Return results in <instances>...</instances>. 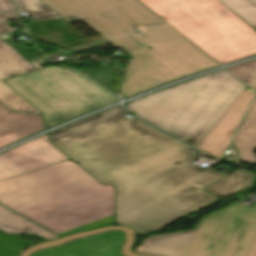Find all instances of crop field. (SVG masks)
<instances>
[{"instance_id": "8a807250", "label": "crop field", "mask_w": 256, "mask_h": 256, "mask_svg": "<svg viewBox=\"0 0 256 256\" xmlns=\"http://www.w3.org/2000/svg\"><path fill=\"white\" fill-rule=\"evenodd\" d=\"M121 106L53 132L51 141L103 184L116 185L117 224L159 230L215 201L203 190L227 176L193 164L189 147Z\"/></svg>"}, {"instance_id": "ac0d7876", "label": "crop field", "mask_w": 256, "mask_h": 256, "mask_svg": "<svg viewBox=\"0 0 256 256\" xmlns=\"http://www.w3.org/2000/svg\"><path fill=\"white\" fill-rule=\"evenodd\" d=\"M68 22L83 20L131 55L123 99L218 64L137 0H41ZM137 28L142 35H135Z\"/></svg>"}, {"instance_id": "34b2d1b8", "label": "crop field", "mask_w": 256, "mask_h": 256, "mask_svg": "<svg viewBox=\"0 0 256 256\" xmlns=\"http://www.w3.org/2000/svg\"><path fill=\"white\" fill-rule=\"evenodd\" d=\"M0 203L63 236L114 223V186L66 162L0 183Z\"/></svg>"}, {"instance_id": "412701ff", "label": "crop field", "mask_w": 256, "mask_h": 256, "mask_svg": "<svg viewBox=\"0 0 256 256\" xmlns=\"http://www.w3.org/2000/svg\"><path fill=\"white\" fill-rule=\"evenodd\" d=\"M246 87L223 70L137 99L127 108L196 147Z\"/></svg>"}, {"instance_id": "f4fd0767", "label": "crop field", "mask_w": 256, "mask_h": 256, "mask_svg": "<svg viewBox=\"0 0 256 256\" xmlns=\"http://www.w3.org/2000/svg\"><path fill=\"white\" fill-rule=\"evenodd\" d=\"M222 65L256 55V30L218 0H141Z\"/></svg>"}, {"instance_id": "dd49c442", "label": "crop field", "mask_w": 256, "mask_h": 256, "mask_svg": "<svg viewBox=\"0 0 256 256\" xmlns=\"http://www.w3.org/2000/svg\"><path fill=\"white\" fill-rule=\"evenodd\" d=\"M3 82L44 113L46 128L119 101L81 73L63 67H48Z\"/></svg>"}, {"instance_id": "e52e79f7", "label": "crop field", "mask_w": 256, "mask_h": 256, "mask_svg": "<svg viewBox=\"0 0 256 256\" xmlns=\"http://www.w3.org/2000/svg\"><path fill=\"white\" fill-rule=\"evenodd\" d=\"M184 256H256V203L235 204L205 218Z\"/></svg>"}, {"instance_id": "d8731c3e", "label": "crop field", "mask_w": 256, "mask_h": 256, "mask_svg": "<svg viewBox=\"0 0 256 256\" xmlns=\"http://www.w3.org/2000/svg\"><path fill=\"white\" fill-rule=\"evenodd\" d=\"M50 143L45 135L0 154V181L69 160Z\"/></svg>"}, {"instance_id": "5a996713", "label": "crop field", "mask_w": 256, "mask_h": 256, "mask_svg": "<svg viewBox=\"0 0 256 256\" xmlns=\"http://www.w3.org/2000/svg\"><path fill=\"white\" fill-rule=\"evenodd\" d=\"M32 71H36V68L0 39V102L12 111L43 114L2 82L5 78Z\"/></svg>"}, {"instance_id": "3316defc", "label": "crop field", "mask_w": 256, "mask_h": 256, "mask_svg": "<svg viewBox=\"0 0 256 256\" xmlns=\"http://www.w3.org/2000/svg\"><path fill=\"white\" fill-rule=\"evenodd\" d=\"M253 95L254 92L244 90L196 148L214 157L221 158L224 156L222 153L229 145V139L231 137L227 133L232 128H237Z\"/></svg>"}, {"instance_id": "28ad6ade", "label": "crop field", "mask_w": 256, "mask_h": 256, "mask_svg": "<svg viewBox=\"0 0 256 256\" xmlns=\"http://www.w3.org/2000/svg\"><path fill=\"white\" fill-rule=\"evenodd\" d=\"M251 87L256 88V60L229 68ZM233 144L240 154V160L256 162V98L252 102L248 114L238 130ZM256 164V163H255Z\"/></svg>"}, {"instance_id": "d1516ede", "label": "crop field", "mask_w": 256, "mask_h": 256, "mask_svg": "<svg viewBox=\"0 0 256 256\" xmlns=\"http://www.w3.org/2000/svg\"><path fill=\"white\" fill-rule=\"evenodd\" d=\"M43 129L41 115L12 112L0 103V148Z\"/></svg>"}, {"instance_id": "22f410ed", "label": "crop field", "mask_w": 256, "mask_h": 256, "mask_svg": "<svg viewBox=\"0 0 256 256\" xmlns=\"http://www.w3.org/2000/svg\"><path fill=\"white\" fill-rule=\"evenodd\" d=\"M193 230L194 228L184 232L146 238L134 251L147 255L183 256Z\"/></svg>"}, {"instance_id": "cbeb9de0", "label": "crop field", "mask_w": 256, "mask_h": 256, "mask_svg": "<svg viewBox=\"0 0 256 256\" xmlns=\"http://www.w3.org/2000/svg\"><path fill=\"white\" fill-rule=\"evenodd\" d=\"M119 238L118 234H109L39 256H116L114 250Z\"/></svg>"}, {"instance_id": "5142ce71", "label": "crop field", "mask_w": 256, "mask_h": 256, "mask_svg": "<svg viewBox=\"0 0 256 256\" xmlns=\"http://www.w3.org/2000/svg\"><path fill=\"white\" fill-rule=\"evenodd\" d=\"M255 181L256 175H254V172L240 168L205 190L211 191L221 197H229L234 193L254 189L255 186L253 183Z\"/></svg>"}, {"instance_id": "d9b57169", "label": "crop field", "mask_w": 256, "mask_h": 256, "mask_svg": "<svg viewBox=\"0 0 256 256\" xmlns=\"http://www.w3.org/2000/svg\"><path fill=\"white\" fill-rule=\"evenodd\" d=\"M0 230L14 233H28L26 230L35 233L48 240L57 238V236L21 217L20 215L10 211L0 205ZM31 234V233H28ZM33 235V234H32Z\"/></svg>"}, {"instance_id": "733c2abd", "label": "crop field", "mask_w": 256, "mask_h": 256, "mask_svg": "<svg viewBox=\"0 0 256 256\" xmlns=\"http://www.w3.org/2000/svg\"><path fill=\"white\" fill-rule=\"evenodd\" d=\"M21 12L34 14V20H47L61 18L40 0H14Z\"/></svg>"}, {"instance_id": "4a817a6b", "label": "crop field", "mask_w": 256, "mask_h": 256, "mask_svg": "<svg viewBox=\"0 0 256 256\" xmlns=\"http://www.w3.org/2000/svg\"><path fill=\"white\" fill-rule=\"evenodd\" d=\"M238 17L256 29V7L246 0H219Z\"/></svg>"}, {"instance_id": "bc2a9ffb", "label": "crop field", "mask_w": 256, "mask_h": 256, "mask_svg": "<svg viewBox=\"0 0 256 256\" xmlns=\"http://www.w3.org/2000/svg\"><path fill=\"white\" fill-rule=\"evenodd\" d=\"M30 245L33 244L0 232V256H18Z\"/></svg>"}, {"instance_id": "214f88e0", "label": "crop field", "mask_w": 256, "mask_h": 256, "mask_svg": "<svg viewBox=\"0 0 256 256\" xmlns=\"http://www.w3.org/2000/svg\"><path fill=\"white\" fill-rule=\"evenodd\" d=\"M109 233H119V234H120L121 239H120V241H119V243H118V245H117V247H116L115 252H116V254H117L118 256H123V255L120 253L119 249H120V246H121V244H122V242H123V240H124V234H123L122 232H120V231H111V232H108V233H104V234H100V235H96V236H92V237H88V238H84V239L72 241V242H69V243H67V244H65V245L59 246V247H55V248H51V249H46V250L39 251V252H37V253H35V254L31 255V256H38L39 254L44 253V252H48V251H51V250L59 249V248H62V247H64V246H67V245H70V244L82 242V241H85V240H88V239H92V238H95V237H99V236H102V235H105V234H109Z\"/></svg>"}, {"instance_id": "92a150f3", "label": "crop field", "mask_w": 256, "mask_h": 256, "mask_svg": "<svg viewBox=\"0 0 256 256\" xmlns=\"http://www.w3.org/2000/svg\"><path fill=\"white\" fill-rule=\"evenodd\" d=\"M11 9H15V6L11 0H0V13Z\"/></svg>"}, {"instance_id": "dafd665d", "label": "crop field", "mask_w": 256, "mask_h": 256, "mask_svg": "<svg viewBox=\"0 0 256 256\" xmlns=\"http://www.w3.org/2000/svg\"><path fill=\"white\" fill-rule=\"evenodd\" d=\"M17 9L0 14V21L18 16Z\"/></svg>"}, {"instance_id": "00972430", "label": "crop field", "mask_w": 256, "mask_h": 256, "mask_svg": "<svg viewBox=\"0 0 256 256\" xmlns=\"http://www.w3.org/2000/svg\"><path fill=\"white\" fill-rule=\"evenodd\" d=\"M14 30H18V29L9 27L5 22L0 23V34L11 32V31H14Z\"/></svg>"}, {"instance_id": "a9b5d70f", "label": "crop field", "mask_w": 256, "mask_h": 256, "mask_svg": "<svg viewBox=\"0 0 256 256\" xmlns=\"http://www.w3.org/2000/svg\"><path fill=\"white\" fill-rule=\"evenodd\" d=\"M251 2H253L256 5V0H250Z\"/></svg>"}]
</instances>
